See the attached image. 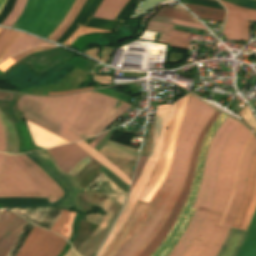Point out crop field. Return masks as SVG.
I'll return each mask as SVG.
<instances>
[{
	"label": "crop field",
	"instance_id": "crop-field-32",
	"mask_svg": "<svg viewBox=\"0 0 256 256\" xmlns=\"http://www.w3.org/2000/svg\"><path fill=\"white\" fill-rule=\"evenodd\" d=\"M255 210H256V185H255L254 193H253V196H252L249 208H248V212H247L244 224L241 229H244V230L248 229L250 221L252 219V216H253Z\"/></svg>",
	"mask_w": 256,
	"mask_h": 256
},
{
	"label": "crop field",
	"instance_id": "crop-field-23",
	"mask_svg": "<svg viewBox=\"0 0 256 256\" xmlns=\"http://www.w3.org/2000/svg\"><path fill=\"white\" fill-rule=\"evenodd\" d=\"M127 1L128 0H103L93 17L114 20Z\"/></svg>",
	"mask_w": 256,
	"mask_h": 256
},
{
	"label": "crop field",
	"instance_id": "crop-field-51",
	"mask_svg": "<svg viewBox=\"0 0 256 256\" xmlns=\"http://www.w3.org/2000/svg\"><path fill=\"white\" fill-rule=\"evenodd\" d=\"M3 210H0V215L2 214Z\"/></svg>",
	"mask_w": 256,
	"mask_h": 256
},
{
	"label": "crop field",
	"instance_id": "crop-field-30",
	"mask_svg": "<svg viewBox=\"0 0 256 256\" xmlns=\"http://www.w3.org/2000/svg\"><path fill=\"white\" fill-rule=\"evenodd\" d=\"M27 0H17L14 9L3 22V26L12 27L18 17L21 15Z\"/></svg>",
	"mask_w": 256,
	"mask_h": 256
},
{
	"label": "crop field",
	"instance_id": "crop-field-41",
	"mask_svg": "<svg viewBox=\"0 0 256 256\" xmlns=\"http://www.w3.org/2000/svg\"><path fill=\"white\" fill-rule=\"evenodd\" d=\"M252 136H254V135L252 134ZM252 136H251V137H252ZM251 137H250V138H251ZM250 138H249V140H250ZM249 140L247 141V143H246V145H245V147H244V149H243L242 153L244 152V150H245V148H246V146H247V144H248ZM242 153H241V155H242ZM240 158H241V156H240ZM239 162H240V159H239V161H238L237 170H238ZM237 170H236V175H237ZM236 175H235V180H234V186H235V181H236ZM234 186H233V191H234ZM233 191H232V195H233ZM232 195H231V198H230L229 204H230V202H231ZM229 204H228V207H229ZM228 207H227V209H226V211H225V213H224V215H223V218H222V220H221V223H220V224H222V221L224 220V218H225V216H226V213H227Z\"/></svg>",
	"mask_w": 256,
	"mask_h": 256
},
{
	"label": "crop field",
	"instance_id": "crop-field-9",
	"mask_svg": "<svg viewBox=\"0 0 256 256\" xmlns=\"http://www.w3.org/2000/svg\"><path fill=\"white\" fill-rule=\"evenodd\" d=\"M75 0H28L16 23L20 28L47 39L63 20Z\"/></svg>",
	"mask_w": 256,
	"mask_h": 256
},
{
	"label": "crop field",
	"instance_id": "crop-field-40",
	"mask_svg": "<svg viewBox=\"0 0 256 256\" xmlns=\"http://www.w3.org/2000/svg\"><path fill=\"white\" fill-rule=\"evenodd\" d=\"M0 152L5 153V134H4V130L1 122H0Z\"/></svg>",
	"mask_w": 256,
	"mask_h": 256
},
{
	"label": "crop field",
	"instance_id": "crop-field-42",
	"mask_svg": "<svg viewBox=\"0 0 256 256\" xmlns=\"http://www.w3.org/2000/svg\"><path fill=\"white\" fill-rule=\"evenodd\" d=\"M250 21L244 20L243 23V40L248 41V29Z\"/></svg>",
	"mask_w": 256,
	"mask_h": 256
},
{
	"label": "crop field",
	"instance_id": "crop-field-15",
	"mask_svg": "<svg viewBox=\"0 0 256 256\" xmlns=\"http://www.w3.org/2000/svg\"><path fill=\"white\" fill-rule=\"evenodd\" d=\"M46 151L54 157L62 171L73 177L87 163L94 159L75 143L59 146Z\"/></svg>",
	"mask_w": 256,
	"mask_h": 256
},
{
	"label": "crop field",
	"instance_id": "crop-field-31",
	"mask_svg": "<svg viewBox=\"0 0 256 256\" xmlns=\"http://www.w3.org/2000/svg\"><path fill=\"white\" fill-rule=\"evenodd\" d=\"M152 20H157V21H162V22H167V23H172V24H177V25H182V26H187V27H192V28H200V29H206L203 25L200 24H194V23H189L185 21H180L164 16H158L155 15Z\"/></svg>",
	"mask_w": 256,
	"mask_h": 256
},
{
	"label": "crop field",
	"instance_id": "crop-field-44",
	"mask_svg": "<svg viewBox=\"0 0 256 256\" xmlns=\"http://www.w3.org/2000/svg\"><path fill=\"white\" fill-rule=\"evenodd\" d=\"M13 63H15L11 58L6 60L4 63L0 64V70L4 73V71Z\"/></svg>",
	"mask_w": 256,
	"mask_h": 256
},
{
	"label": "crop field",
	"instance_id": "crop-field-16",
	"mask_svg": "<svg viewBox=\"0 0 256 256\" xmlns=\"http://www.w3.org/2000/svg\"><path fill=\"white\" fill-rule=\"evenodd\" d=\"M73 55L74 54L57 47L48 51L36 52L21 61L41 76Z\"/></svg>",
	"mask_w": 256,
	"mask_h": 256
},
{
	"label": "crop field",
	"instance_id": "crop-field-45",
	"mask_svg": "<svg viewBox=\"0 0 256 256\" xmlns=\"http://www.w3.org/2000/svg\"><path fill=\"white\" fill-rule=\"evenodd\" d=\"M97 52H98V48H93V49H90V50H88V51H86V52H84V53L89 54L90 56H92V57H94V58L100 60V59L97 57ZM100 61H101V60H100Z\"/></svg>",
	"mask_w": 256,
	"mask_h": 256
},
{
	"label": "crop field",
	"instance_id": "crop-field-50",
	"mask_svg": "<svg viewBox=\"0 0 256 256\" xmlns=\"http://www.w3.org/2000/svg\"><path fill=\"white\" fill-rule=\"evenodd\" d=\"M4 31H5V28H0V36L3 34Z\"/></svg>",
	"mask_w": 256,
	"mask_h": 256
},
{
	"label": "crop field",
	"instance_id": "crop-field-36",
	"mask_svg": "<svg viewBox=\"0 0 256 256\" xmlns=\"http://www.w3.org/2000/svg\"><path fill=\"white\" fill-rule=\"evenodd\" d=\"M239 114L245 119V122L248 123L252 128H256V120L254 119L251 111L248 109L247 106H245Z\"/></svg>",
	"mask_w": 256,
	"mask_h": 256
},
{
	"label": "crop field",
	"instance_id": "crop-field-5",
	"mask_svg": "<svg viewBox=\"0 0 256 256\" xmlns=\"http://www.w3.org/2000/svg\"><path fill=\"white\" fill-rule=\"evenodd\" d=\"M237 124L238 122L228 117L217 130L210 144L201 186L193 206L197 208V210L183 237L169 254V256H181L193 240L195 234L204 221L213 198L216 173L219 165L221 151L230 133Z\"/></svg>",
	"mask_w": 256,
	"mask_h": 256
},
{
	"label": "crop field",
	"instance_id": "crop-field-39",
	"mask_svg": "<svg viewBox=\"0 0 256 256\" xmlns=\"http://www.w3.org/2000/svg\"><path fill=\"white\" fill-rule=\"evenodd\" d=\"M146 158L147 157H143V156L139 157V161H138V165H137V168H136V171H135L132 187L135 184V182H136V180H137V178H138V176H139V174H140V172H141V170H142V168H143V166H144V164L146 162Z\"/></svg>",
	"mask_w": 256,
	"mask_h": 256
},
{
	"label": "crop field",
	"instance_id": "crop-field-37",
	"mask_svg": "<svg viewBox=\"0 0 256 256\" xmlns=\"http://www.w3.org/2000/svg\"><path fill=\"white\" fill-rule=\"evenodd\" d=\"M56 46H46V47H41V48H33L31 50H27V51H24L20 54H17L13 57H11L15 62L22 59L23 57L33 53V52H36V51H41V50H47V49H51V48H54Z\"/></svg>",
	"mask_w": 256,
	"mask_h": 256
},
{
	"label": "crop field",
	"instance_id": "crop-field-27",
	"mask_svg": "<svg viewBox=\"0 0 256 256\" xmlns=\"http://www.w3.org/2000/svg\"><path fill=\"white\" fill-rule=\"evenodd\" d=\"M184 5L198 18H207V19L222 21L225 15V11L223 10H217L212 8L194 6V5H186V4Z\"/></svg>",
	"mask_w": 256,
	"mask_h": 256
},
{
	"label": "crop field",
	"instance_id": "crop-field-25",
	"mask_svg": "<svg viewBox=\"0 0 256 256\" xmlns=\"http://www.w3.org/2000/svg\"><path fill=\"white\" fill-rule=\"evenodd\" d=\"M86 0H76L72 5L71 9L67 13L64 20L60 23V25L55 29V31L50 35L48 40L56 42L58 38L63 34V32L68 28V26L72 23L75 16L81 9L82 5Z\"/></svg>",
	"mask_w": 256,
	"mask_h": 256
},
{
	"label": "crop field",
	"instance_id": "crop-field-28",
	"mask_svg": "<svg viewBox=\"0 0 256 256\" xmlns=\"http://www.w3.org/2000/svg\"><path fill=\"white\" fill-rule=\"evenodd\" d=\"M157 14L169 16V17H173V18H177L185 21L200 23L197 19H195L182 7H176V8L163 7Z\"/></svg>",
	"mask_w": 256,
	"mask_h": 256
},
{
	"label": "crop field",
	"instance_id": "crop-field-49",
	"mask_svg": "<svg viewBox=\"0 0 256 256\" xmlns=\"http://www.w3.org/2000/svg\"><path fill=\"white\" fill-rule=\"evenodd\" d=\"M6 0H0V11L2 10Z\"/></svg>",
	"mask_w": 256,
	"mask_h": 256
},
{
	"label": "crop field",
	"instance_id": "crop-field-48",
	"mask_svg": "<svg viewBox=\"0 0 256 256\" xmlns=\"http://www.w3.org/2000/svg\"><path fill=\"white\" fill-rule=\"evenodd\" d=\"M4 157H5L4 154H0V172H1V168H2V163H3Z\"/></svg>",
	"mask_w": 256,
	"mask_h": 256
},
{
	"label": "crop field",
	"instance_id": "crop-field-20",
	"mask_svg": "<svg viewBox=\"0 0 256 256\" xmlns=\"http://www.w3.org/2000/svg\"><path fill=\"white\" fill-rule=\"evenodd\" d=\"M28 126L30 129V132L32 134V137L34 139V142L37 146L43 147V148H49L53 146H58L62 144L69 143L68 141L44 130L41 129L30 122H28Z\"/></svg>",
	"mask_w": 256,
	"mask_h": 256
},
{
	"label": "crop field",
	"instance_id": "crop-field-13",
	"mask_svg": "<svg viewBox=\"0 0 256 256\" xmlns=\"http://www.w3.org/2000/svg\"><path fill=\"white\" fill-rule=\"evenodd\" d=\"M29 156L40 164L44 170L47 171L67 192L66 196L55 204V206L63 207L67 210L72 206H75L77 210L80 211L77 203V197L82 192V189L79 184L72 179L73 177L71 178L63 173L55 163L53 157L46 152L30 154Z\"/></svg>",
	"mask_w": 256,
	"mask_h": 256
},
{
	"label": "crop field",
	"instance_id": "crop-field-29",
	"mask_svg": "<svg viewBox=\"0 0 256 256\" xmlns=\"http://www.w3.org/2000/svg\"><path fill=\"white\" fill-rule=\"evenodd\" d=\"M19 34L18 31L6 29L0 38V61Z\"/></svg>",
	"mask_w": 256,
	"mask_h": 256
},
{
	"label": "crop field",
	"instance_id": "crop-field-38",
	"mask_svg": "<svg viewBox=\"0 0 256 256\" xmlns=\"http://www.w3.org/2000/svg\"><path fill=\"white\" fill-rule=\"evenodd\" d=\"M68 214H69V211L63 210V212L59 216L58 220L56 221L54 226L51 228V231H54V232L57 233V231L60 229V227L62 226L63 222L67 218Z\"/></svg>",
	"mask_w": 256,
	"mask_h": 256
},
{
	"label": "crop field",
	"instance_id": "crop-field-43",
	"mask_svg": "<svg viewBox=\"0 0 256 256\" xmlns=\"http://www.w3.org/2000/svg\"><path fill=\"white\" fill-rule=\"evenodd\" d=\"M14 94L0 92V101H12Z\"/></svg>",
	"mask_w": 256,
	"mask_h": 256
},
{
	"label": "crop field",
	"instance_id": "crop-field-33",
	"mask_svg": "<svg viewBox=\"0 0 256 256\" xmlns=\"http://www.w3.org/2000/svg\"><path fill=\"white\" fill-rule=\"evenodd\" d=\"M93 32H110V31H104L99 29H93L88 27H82L80 26L79 29L72 34V36L64 43L65 45H70L75 39H77L79 36L93 33Z\"/></svg>",
	"mask_w": 256,
	"mask_h": 256
},
{
	"label": "crop field",
	"instance_id": "crop-field-35",
	"mask_svg": "<svg viewBox=\"0 0 256 256\" xmlns=\"http://www.w3.org/2000/svg\"><path fill=\"white\" fill-rule=\"evenodd\" d=\"M74 215H75L74 213L70 212V214H69L68 218L66 219L65 223L63 224L61 229L58 231V234L63 236L65 239H68V237L70 235L71 224H72Z\"/></svg>",
	"mask_w": 256,
	"mask_h": 256
},
{
	"label": "crop field",
	"instance_id": "crop-field-47",
	"mask_svg": "<svg viewBox=\"0 0 256 256\" xmlns=\"http://www.w3.org/2000/svg\"><path fill=\"white\" fill-rule=\"evenodd\" d=\"M90 88H94V86H92V87H88V88L79 89V90H75V91H68V92H56V93H52V95L63 94V93H70V92H76V91H82V90H86V89H90Z\"/></svg>",
	"mask_w": 256,
	"mask_h": 256
},
{
	"label": "crop field",
	"instance_id": "crop-field-21",
	"mask_svg": "<svg viewBox=\"0 0 256 256\" xmlns=\"http://www.w3.org/2000/svg\"><path fill=\"white\" fill-rule=\"evenodd\" d=\"M43 42V40L37 39L35 37L20 32V34L18 35V37L16 38V40L14 41V43L12 44V46L10 47V49L8 50V52L6 53L1 62L6 60L8 57L20 51L26 50L28 48H33L42 45H53L48 42Z\"/></svg>",
	"mask_w": 256,
	"mask_h": 256
},
{
	"label": "crop field",
	"instance_id": "crop-field-12",
	"mask_svg": "<svg viewBox=\"0 0 256 256\" xmlns=\"http://www.w3.org/2000/svg\"><path fill=\"white\" fill-rule=\"evenodd\" d=\"M220 113L221 112L216 110V112L210 118L207 126L203 129V131L195 145L194 151H193V155H192V159H191V163H190V167H189V171H188V176L185 181L183 192H182L178 202L174 206L168 219L166 220L164 226L162 227V229L156 236V238L151 242V244L143 251V253L140 256H151L154 253V251L159 247V245L163 242V240L165 239V237L171 230L174 222L176 221V219H177V217L187 199L188 193L190 191V188H191V185H192V182L194 179V175H195L196 164H197V159H198V154H199L201 144L204 140V137H205L208 129L213 124V122L217 119V117L220 115Z\"/></svg>",
	"mask_w": 256,
	"mask_h": 256
},
{
	"label": "crop field",
	"instance_id": "crop-field-14",
	"mask_svg": "<svg viewBox=\"0 0 256 256\" xmlns=\"http://www.w3.org/2000/svg\"><path fill=\"white\" fill-rule=\"evenodd\" d=\"M65 244L63 238L34 226L17 256H57Z\"/></svg>",
	"mask_w": 256,
	"mask_h": 256
},
{
	"label": "crop field",
	"instance_id": "crop-field-19",
	"mask_svg": "<svg viewBox=\"0 0 256 256\" xmlns=\"http://www.w3.org/2000/svg\"><path fill=\"white\" fill-rule=\"evenodd\" d=\"M255 179H256V152L252 159L242 204L239 207L238 213L236 215L235 221L232 226L234 228H239V229L241 228L243 218L245 216L246 210L248 208V205L251 199Z\"/></svg>",
	"mask_w": 256,
	"mask_h": 256
},
{
	"label": "crop field",
	"instance_id": "crop-field-18",
	"mask_svg": "<svg viewBox=\"0 0 256 256\" xmlns=\"http://www.w3.org/2000/svg\"><path fill=\"white\" fill-rule=\"evenodd\" d=\"M174 25L150 21L146 30L163 33L161 41L168 46L187 48L190 33L172 30Z\"/></svg>",
	"mask_w": 256,
	"mask_h": 256
},
{
	"label": "crop field",
	"instance_id": "crop-field-34",
	"mask_svg": "<svg viewBox=\"0 0 256 256\" xmlns=\"http://www.w3.org/2000/svg\"><path fill=\"white\" fill-rule=\"evenodd\" d=\"M15 215L12 213L4 210L3 214L0 217V240L4 235L5 231L7 230L8 226L10 225L11 221L13 220Z\"/></svg>",
	"mask_w": 256,
	"mask_h": 256
},
{
	"label": "crop field",
	"instance_id": "crop-field-3",
	"mask_svg": "<svg viewBox=\"0 0 256 256\" xmlns=\"http://www.w3.org/2000/svg\"><path fill=\"white\" fill-rule=\"evenodd\" d=\"M91 91L63 97L22 95L18 109L24 118L70 142L82 140L67 129L80 115Z\"/></svg>",
	"mask_w": 256,
	"mask_h": 256
},
{
	"label": "crop field",
	"instance_id": "crop-field-2",
	"mask_svg": "<svg viewBox=\"0 0 256 256\" xmlns=\"http://www.w3.org/2000/svg\"><path fill=\"white\" fill-rule=\"evenodd\" d=\"M251 134L243 124L239 123L228 139L221 155L212 206L194 241L182 256H216L220 250L242 200L251 158L256 151L254 136L243 154L234 196L226 219L220 226V220L231 195L237 161Z\"/></svg>",
	"mask_w": 256,
	"mask_h": 256
},
{
	"label": "crop field",
	"instance_id": "crop-field-4",
	"mask_svg": "<svg viewBox=\"0 0 256 256\" xmlns=\"http://www.w3.org/2000/svg\"><path fill=\"white\" fill-rule=\"evenodd\" d=\"M62 189L26 155H6L0 174V198L47 197L51 203Z\"/></svg>",
	"mask_w": 256,
	"mask_h": 256
},
{
	"label": "crop field",
	"instance_id": "crop-field-7",
	"mask_svg": "<svg viewBox=\"0 0 256 256\" xmlns=\"http://www.w3.org/2000/svg\"><path fill=\"white\" fill-rule=\"evenodd\" d=\"M170 106L171 105H158L157 117H156L155 128H154L153 144H152L151 151L148 155L146 165L139 179L137 180L110 235L108 236L105 244L103 245L102 249L99 251V253L96 256H101V254L109 245L111 240L120 230V228L122 227L125 220L133 210L135 204L137 203L138 199L140 198L141 194L143 193L144 189L146 188L147 184L149 183L153 175V172L155 170L157 161L159 159V156L164 144L165 130H166Z\"/></svg>",
	"mask_w": 256,
	"mask_h": 256
},
{
	"label": "crop field",
	"instance_id": "crop-field-46",
	"mask_svg": "<svg viewBox=\"0 0 256 256\" xmlns=\"http://www.w3.org/2000/svg\"><path fill=\"white\" fill-rule=\"evenodd\" d=\"M107 132H108V131H107ZM107 132H104V133L100 134L94 141H92V142L90 143V145H92L93 147H95V146L99 143V141L107 134Z\"/></svg>",
	"mask_w": 256,
	"mask_h": 256
},
{
	"label": "crop field",
	"instance_id": "crop-field-24",
	"mask_svg": "<svg viewBox=\"0 0 256 256\" xmlns=\"http://www.w3.org/2000/svg\"><path fill=\"white\" fill-rule=\"evenodd\" d=\"M81 148H83L87 153L93 156L96 160H98L101 164L107 167L110 171H112L116 176L122 179L126 184L129 185V177L124 174L121 170L111 164L105 157H103L98 151L94 150L90 147L85 141L76 142Z\"/></svg>",
	"mask_w": 256,
	"mask_h": 256
},
{
	"label": "crop field",
	"instance_id": "crop-field-26",
	"mask_svg": "<svg viewBox=\"0 0 256 256\" xmlns=\"http://www.w3.org/2000/svg\"><path fill=\"white\" fill-rule=\"evenodd\" d=\"M248 231L250 233L237 256H256V212Z\"/></svg>",
	"mask_w": 256,
	"mask_h": 256
},
{
	"label": "crop field",
	"instance_id": "crop-field-8",
	"mask_svg": "<svg viewBox=\"0 0 256 256\" xmlns=\"http://www.w3.org/2000/svg\"><path fill=\"white\" fill-rule=\"evenodd\" d=\"M93 92L77 121L68 129L86 139L101 133L130 107L124 102Z\"/></svg>",
	"mask_w": 256,
	"mask_h": 256
},
{
	"label": "crop field",
	"instance_id": "crop-field-1",
	"mask_svg": "<svg viewBox=\"0 0 256 256\" xmlns=\"http://www.w3.org/2000/svg\"><path fill=\"white\" fill-rule=\"evenodd\" d=\"M214 111L190 95L168 175L114 256H139L155 238L179 198L195 142Z\"/></svg>",
	"mask_w": 256,
	"mask_h": 256
},
{
	"label": "crop field",
	"instance_id": "crop-field-10",
	"mask_svg": "<svg viewBox=\"0 0 256 256\" xmlns=\"http://www.w3.org/2000/svg\"><path fill=\"white\" fill-rule=\"evenodd\" d=\"M92 204L99 206L107 214L101 215L96 213L95 215H82V218L99 227L77 250L81 256H93L96 253L122 205L110 199L99 190L82 193L79 199V206L92 208Z\"/></svg>",
	"mask_w": 256,
	"mask_h": 256
},
{
	"label": "crop field",
	"instance_id": "crop-field-17",
	"mask_svg": "<svg viewBox=\"0 0 256 256\" xmlns=\"http://www.w3.org/2000/svg\"><path fill=\"white\" fill-rule=\"evenodd\" d=\"M220 2L228 9L223 34L226 39L242 40L243 19L256 21V10L234 6L223 1Z\"/></svg>",
	"mask_w": 256,
	"mask_h": 256
},
{
	"label": "crop field",
	"instance_id": "crop-field-11",
	"mask_svg": "<svg viewBox=\"0 0 256 256\" xmlns=\"http://www.w3.org/2000/svg\"><path fill=\"white\" fill-rule=\"evenodd\" d=\"M228 116L221 113V115L216 120L214 126L210 128L204 143L201 147L199 159H198V165L196 170L195 179L191 188V191L189 193L188 199L177 219L175 222L172 230L164 240V242L160 245V247L155 251V253L152 256H168V254L171 252V250L174 248V246L177 244V242L182 237L185 229L187 228L194 212L196 209L192 208L194 200L197 196L203 169H204V162L206 158V154L209 148V144L211 139L213 138L216 130L218 129L219 125L227 118Z\"/></svg>",
	"mask_w": 256,
	"mask_h": 256
},
{
	"label": "crop field",
	"instance_id": "crop-field-22",
	"mask_svg": "<svg viewBox=\"0 0 256 256\" xmlns=\"http://www.w3.org/2000/svg\"><path fill=\"white\" fill-rule=\"evenodd\" d=\"M27 221L15 216L6 234L0 242V256H6Z\"/></svg>",
	"mask_w": 256,
	"mask_h": 256
},
{
	"label": "crop field",
	"instance_id": "crop-field-6",
	"mask_svg": "<svg viewBox=\"0 0 256 256\" xmlns=\"http://www.w3.org/2000/svg\"><path fill=\"white\" fill-rule=\"evenodd\" d=\"M188 96L189 94L181 98L171 107L167 131H166L165 145L161 154V158L156 167V170L154 172V175L150 183L148 184L146 190L142 195L143 197L152 198V196L160 187L161 183L163 182L169 170L178 130L181 124V120L186 107ZM143 197L139 199L133 212L131 213V215L129 216V218L121 228V230L118 232V234L115 236L113 241L104 251L102 256H113L116 250L119 248V246L123 242V240L125 239V237L127 236V234L129 233V231L132 229L134 224L140 218L145 206L150 200L149 198H143Z\"/></svg>",
	"mask_w": 256,
	"mask_h": 256
}]
</instances>
